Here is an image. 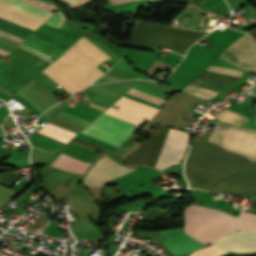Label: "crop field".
Wrapping results in <instances>:
<instances>
[{"instance_id": "obj_1", "label": "crop field", "mask_w": 256, "mask_h": 256, "mask_svg": "<svg viewBox=\"0 0 256 256\" xmlns=\"http://www.w3.org/2000/svg\"><path fill=\"white\" fill-rule=\"evenodd\" d=\"M108 58L82 36L42 72L73 95L104 74L96 66Z\"/></svg>"}, {"instance_id": "obj_2", "label": "crop field", "mask_w": 256, "mask_h": 256, "mask_svg": "<svg viewBox=\"0 0 256 256\" xmlns=\"http://www.w3.org/2000/svg\"><path fill=\"white\" fill-rule=\"evenodd\" d=\"M251 162L196 137L187 159L186 175L192 186L204 188Z\"/></svg>"}, {"instance_id": "obj_3", "label": "crop field", "mask_w": 256, "mask_h": 256, "mask_svg": "<svg viewBox=\"0 0 256 256\" xmlns=\"http://www.w3.org/2000/svg\"><path fill=\"white\" fill-rule=\"evenodd\" d=\"M169 130L168 128L155 126L151 138L129 156L128 164H148L156 167ZM187 139L188 134L171 129L156 168L163 170L181 162L187 148Z\"/></svg>"}, {"instance_id": "obj_4", "label": "crop field", "mask_w": 256, "mask_h": 256, "mask_svg": "<svg viewBox=\"0 0 256 256\" xmlns=\"http://www.w3.org/2000/svg\"><path fill=\"white\" fill-rule=\"evenodd\" d=\"M237 219L221 211L192 205L185 209L184 231L198 241L210 244L221 235L233 232Z\"/></svg>"}, {"instance_id": "obj_5", "label": "crop field", "mask_w": 256, "mask_h": 256, "mask_svg": "<svg viewBox=\"0 0 256 256\" xmlns=\"http://www.w3.org/2000/svg\"><path fill=\"white\" fill-rule=\"evenodd\" d=\"M207 33L136 21L132 37L126 43L147 47L168 45L185 53L188 47Z\"/></svg>"}, {"instance_id": "obj_6", "label": "crop field", "mask_w": 256, "mask_h": 256, "mask_svg": "<svg viewBox=\"0 0 256 256\" xmlns=\"http://www.w3.org/2000/svg\"><path fill=\"white\" fill-rule=\"evenodd\" d=\"M138 128L136 125L102 113L82 133L86 134L85 136L118 147L120 143L126 140Z\"/></svg>"}, {"instance_id": "obj_7", "label": "crop field", "mask_w": 256, "mask_h": 256, "mask_svg": "<svg viewBox=\"0 0 256 256\" xmlns=\"http://www.w3.org/2000/svg\"><path fill=\"white\" fill-rule=\"evenodd\" d=\"M53 13L40 10L20 0H0V17L35 30Z\"/></svg>"}, {"instance_id": "obj_8", "label": "crop field", "mask_w": 256, "mask_h": 256, "mask_svg": "<svg viewBox=\"0 0 256 256\" xmlns=\"http://www.w3.org/2000/svg\"><path fill=\"white\" fill-rule=\"evenodd\" d=\"M203 190L220 194L225 191L242 192L252 198L256 197V162Z\"/></svg>"}, {"instance_id": "obj_9", "label": "crop field", "mask_w": 256, "mask_h": 256, "mask_svg": "<svg viewBox=\"0 0 256 256\" xmlns=\"http://www.w3.org/2000/svg\"><path fill=\"white\" fill-rule=\"evenodd\" d=\"M114 105L120 107V109L117 110L110 107L108 110L105 111V113L139 126L145 122H148L158 111V109L124 97H122Z\"/></svg>"}, {"instance_id": "obj_10", "label": "crop field", "mask_w": 256, "mask_h": 256, "mask_svg": "<svg viewBox=\"0 0 256 256\" xmlns=\"http://www.w3.org/2000/svg\"><path fill=\"white\" fill-rule=\"evenodd\" d=\"M133 170L135 169L122 167L104 156L94 164L83 181L87 185L100 187L104 183Z\"/></svg>"}, {"instance_id": "obj_11", "label": "crop field", "mask_w": 256, "mask_h": 256, "mask_svg": "<svg viewBox=\"0 0 256 256\" xmlns=\"http://www.w3.org/2000/svg\"><path fill=\"white\" fill-rule=\"evenodd\" d=\"M215 244L229 251L256 252V230L224 235Z\"/></svg>"}, {"instance_id": "obj_12", "label": "crop field", "mask_w": 256, "mask_h": 256, "mask_svg": "<svg viewBox=\"0 0 256 256\" xmlns=\"http://www.w3.org/2000/svg\"><path fill=\"white\" fill-rule=\"evenodd\" d=\"M238 79L237 77L203 71L191 84L220 93Z\"/></svg>"}, {"instance_id": "obj_13", "label": "crop field", "mask_w": 256, "mask_h": 256, "mask_svg": "<svg viewBox=\"0 0 256 256\" xmlns=\"http://www.w3.org/2000/svg\"><path fill=\"white\" fill-rule=\"evenodd\" d=\"M38 133L52 137L65 143H67L73 136L78 134L75 131L51 122L45 125L41 130H39Z\"/></svg>"}, {"instance_id": "obj_14", "label": "crop field", "mask_w": 256, "mask_h": 256, "mask_svg": "<svg viewBox=\"0 0 256 256\" xmlns=\"http://www.w3.org/2000/svg\"><path fill=\"white\" fill-rule=\"evenodd\" d=\"M89 165L90 163L76 160L62 154H60L52 164V166L60 168L62 170L72 171L79 174H83V172L87 169Z\"/></svg>"}, {"instance_id": "obj_15", "label": "crop field", "mask_w": 256, "mask_h": 256, "mask_svg": "<svg viewBox=\"0 0 256 256\" xmlns=\"http://www.w3.org/2000/svg\"><path fill=\"white\" fill-rule=\"evenodd\" d=\"M236 228H239V230L256 228V216L243 212Z\"/></svg>"}, {"instance_id": "obj_16", "label": "crop field", "mask_w": 256, "mask_h": 256, "mask_svg": "<svg viewBox=\"0 0 256 256\" xmlns=\"http://www.w3.org/2000/svg\"><path fill=\"white\" fill-rule=\"evenodd\" d=\"M228 252L211 245L205 249L197 250L190 256H222L227 254Z\"/></svg>"}, {"instance_id": "obj_17", "label": "crop field", "mask_w": 256, "mask_h": 256, "mask_svg": "<svg viewBox=\"0 0 256 256\" xmlns=\"http://www.w3.org/2000/svg\"><path fill=\"white\" fill-rule=\"evenodd\" d=\"M127 94H130L132 96H135V97H138V98H141V99H144L146 101H149V102H152V103H155L157 105H160L162 106V104L164 103V100L162 99H159V98H156L154 96H151V95H148L146 93H143L141 91H138V90H135L133 88H131Z\"/></svg>"}, {"instance_id": "obj_18", "label": "crop field", "mask_w": 256, "mask_h": 256, "mask_svg": "<svg viewBox=\"0 0 256 256\" xmlns=\"http://www.w3.org/2000/svg\"><path fill=\"white\" fill-rule=\"evenodd\" d=\"M57 116L65 119V120H68L70 122H73V123L79 124L81 126H84V127H86L90 123V121L81 119L79 117H76V116L71 115L69 113H66L64 111L60 112Z\"/></svg>"}, {"instance_id": "obj_19", "label": "crop field", "mask_w": 256, "mask_h": 256, "mask_svg": "<svg viewBox=\"0 0 256 256\" xmlns=\"http://www.w3.org/2000/svg\"><path fill=\"white\" fill-rule=\"evenodd\" d=\"M63 20H64V16L62 15V13L60 11H58L51 19H49L46 22V24H49V25L59 28L60 25L62 24Z\"/></svg>"}, {"instance_id": "obj_20", "label": "crop field", "mask_w": 256, "mask_h": 256, "mask_svg": "<svg viewBox=\"0 0 256 256\" xmlns=\"http://www.w3.org/2000/svg\"><path fill=\"white\" fill-rule=\"evenodd\" d=\"M24 1L30 3L34 6H37V7H40L42 9L48 10V11H54L56 9H59L56 6H52V5L46 4V3L38 1V0H24Z\"/></svg>"}, {"instance_id": "obj_21", "label": "crop field", "mask_w": 256, "mask_h": 256, "mask_svg": "<svg viewBox=\"0 0 256 256\" xmlns=\"http://www.w3.org/2000/svg\"><path fill=\"white\" fill-rule=\"evenodd\" d=\"M20 47H22V48H24V49H26V50H28V51H30V52H32V53H34V54H36V55H38V56H40V57H42V58H44V59H46V60L51 62V60H50L51 57H49V56H47V55H45V54H43V53H41V52L31 48V47H29V46H27V45H25L23 43L20 45Z\"/></svg>"}, {"instance_id": "obj_22", "label": "crop field", "mask_w": 256, "mask_h": 256, "mask_svg": "<svg viewBox=\"0 0 256 256\" xmlns=\"http://www.w3.org/2000/svg\"><path fill=\"white\" fill-rule=\"evenodd\" d=\"M72 142L81 144V145H83V146H86V147H89V148H92V149H95V150H98V151H101V152L107 151V150H105V149L99 148V147L94 146V145H92V144H89V143H86V142H84V141L78 140V139H76V138H74V139L72 140Z\"/></svg>"}, {"instance_id": "obj_23", "label": "crop field", "mask_w": 256, "mask_h": 256, "mask_svg": "<svg viewBox=\"0 0 256 256\" xmlns=\"http://www.w3.org/2000/svg\"><path fill=\"white\" fill-rule=\"evenodd\" d=\"M110 1H111V5H113V4H119V3L133 1V0H110Z\"/></svg>"}, {"instance_id": "obj_24", "label": "crop field", "mask_w": 256, "mask_h": 256, "mask_svg": "<svg viewBox=\"0 0 256 256\" xmlns=\"http://www.w3.org/2000/svg\"><path fill=\"white\" fill-rule=\"evenodd\" d=\"M247 33H249L254 38V40L256 42V28L251 31H248Z\"/></svg>"}, {"instance_id": "obj_25", "label": "crop field", "mask_w": 256, "mask_h": 256, "mask_svg": "<svg viewBox=\"0 0 256 256\" xmlns=\"http://www.w3.org/2000/svg\"><path fill=\"white\" fill-rule=\"evenodd\" d=\"M250 209H251V210H256V198L253 200Z\"/></svg>"}, {"instance_id": "obj_26", "label": "crop field", "mask_w": 256, "mask_h": 256, "mask_svg": "<svg viewBox=\"0 0 256 256\" xmlns=\"http://www.w3.org/2000/svg\"><path fill=\"white\" fill-rule=\"evenodd\" d=\"M60 1H63V2H66V3H69V4H72L78 0H60Z\"/></svg>"}, {"instance_id": "obj_27", "label": "crop field", "mask_w": 256, "mask_h": 256, "mask_svg": "<svg viewBox=\"0 0 256 256\" xmlns=\"http://www.w3.org/2000/svg\"><path fill=\"white\" fill-rule=\"evenodd\" d=\"M8 54H9V52L0 49V55L6 56Z\"/></svg>"}, {"instance_id": "obj_28", "label": "crop field", "mask_w": 256, "mask_h": 256, "mask_svg": "<svg viewBox=\"0 0 256 256\" xmlns=\"http://www.w3.org/2000/svg\"><path fill=\"white\" fill-rule=\"evenodd\" d=\"M201 1H203V0H188V2H192V3H195V4H197V3L201 2Z\"/></svg>"}, {"instance_id": "obj_29", "label": "crop field", "mask_w": 256, "mask_h": 256, "mask_svg": "<svg viewBox=\"0 0 256 256\" xmlns=\"http://www.w3.org/2000/svg\"><path fill=\"white\" fill-rule=\"evenodd\" d=\"M87 1H89V0H80V1H78V2H76V3H78V4H83V3L87 2Z\"/></svg>"}, {"instance_id": "obj_30", "label": "crop field", "mask_w": 256, "mask_h": 256, "mask_svg": "<svg viewBox=\"0 0 256 256\" xmlns=\"http://www.w3.org/2000/svg\"><path fill=\"white\" fill-rule=\"evenodd\" d=\"M154 1H174V0H154Z\"/></svg>"}, {"instance_id": "obj_31", "label": "crop field", "mask_w": 256, "mask_h": 256, "mask_svg": "<svg viewBox=\"0 0 256 256\" xmlns=\"http://www.w3.org/2000/svg\"><path fill=\"white\" fill-rule=\"evenodd\" d=\"M205 20H206V18H205V17H203V19H202V21H201V22H202V23H204V21H205Z\"/></svg>"}]
</instances>
